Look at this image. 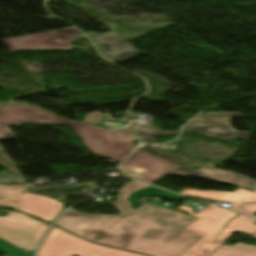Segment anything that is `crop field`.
<instances>
[{"label":"crop field","instance_id":"obj_1","mask_svg":"<svg viewBox=\"0 0 256 256\" xmlns=\"http://www.w3.org/2000/svg\"><path fill=\"white\" fill-rule=\"evenodd\" d=\"M147 186L135 181L119 190L113 205L120 216L82 214L71 209L56 224L95 242L152 256H181L202 238L184 230L196 218L144 204L132 210L129 195Z\"/></svg>","mask_w":256,"mask_h":256},{"label":"crop field","instance_id":"obj_13","mask_svg":"<svg viewBox=\"0 0 256 256\" xmlns=\"http://www.w3.org/2000/svg\"><path fill=\"white\" fill-rule=\"evenodd\" d=\"M97 187L94 182L83 183L77 186H68V187H60V186H46L44 188L35 187L33 184H25V188L23 192L27 193H35L41 194L48 197H54L56 199H63L67 195L73 194H85L86 189ZM27 188H33V191L28 190Z\"/></svg>","mask_w":256,"mask_h":256},{"label":"crop field","instance_id":"obj_23","mask_svg":"<svg viewBox=\"0 0 256 256\" xmlns=\"http://www.w3.org/2000/svg\"><path fill=\"white\" fill-rule=\"evenodd\" d=\"M255 239H256V233H254Z\"/></svg>","mask_w":256,"mask_h":256},{"label":"crop field","instance_id":"obj_18","mask_svg":"<svg viewBox=\"0 0 256 256\" xmlns=\"http://www.w3.org/2000/svg\"><path fill=\"white\" fill-rule=\"evenodd\" d=\"M170 134H175V132H165L157 128L141 125L140 129L136 133V136H139L138 138L141 139V138H146L151 136H166Z\"/></svg>","mask_w":256,"mask_h":256},{"label":"crop field","instance_id":"obj_4","mask_svg":"<svg viewBox=\"0 0 256 256\" xmlns=\"http://www.w3.org/2000/svg\"><path fill=\"white\" fill-rule=\"evenodd\" d=\"M144 256L96 245L54 226L39 248L38 256Z\"/></svg>","mask_w":256,"mask_h":256},{"label":"crop field","instance_id":"obj_5","mask_svg":"<svg viewBox=\"0 0 256 256\" xmlns=\"http://www.w3.org/2000/svg\"><path fill=\"white\" fill-rule=\"evenodd\" d=\"M6 212L10 213L0 217V237L34 252L38 241L50 224L35 220L22 213Z\"/></svg>","mask_w":256,"mask_h":256},{"label":"crop field","instance_id":"obj_8","mask_svg":"<svg viewBox=\"0 0 256 256\" xmlns=\"http://www.w3.org/2000/svg\"><path fill=\"white\" fill-rule=\"evenodd\" d=\"M216 116L241 117V114L233 112H225L219 114L208 113L191 122L184 129L218 137L221 139L236 138L245 140L249 137V132H238L231 128L230 123L223 125L221 123L212 121V119Z\"/></svg>","mask_w":256,"mask_h":256},{"label":"crop field","instance_id":"obj_6","mask_svg":"<svg viewBox=\"0 0 256 256\" xmlns=\"http://www.w3.org/2000/svg\"><path fill=\"white\" fill-rule=\"evenodd\" d=\"M176 164L157 155L137 150L125 163L122 172H145L138 180L151 185L168 175Z\"/></svg>","mask_w":256,"mask_h":256},{"label":"crop field","instance_id":"obj_15","mask_svg":"<svg viewBox=\"0 0 256 256\" xmlns=\"http://www.w3.org/2000/svg\"><path fill=\"white\" fill-rule=\"evenodd\" d=\"M210 256H256V246L236 244L232 247L222 245Z\"/></svg>","mask_w":256,"mask_h":256},{"label":"crop field","instance_id":"obj_10","mask_svg":"<svg viewBox=\"0 0 256 256\" xmlns=\"http://www.w3.org/2000/svg\"><path fill=\"white\" fill-rule=\"evenodd\" d=\"M172 174L202 177L218 182H223L239 187H247L251 189H254V187L256 186V182L249 180L247 177L213 167H201L198 171H196L189 168H185L183 166H179Z\"/></svg>","mask_w":256,"mask_h":256},{"label":"crop field","instance_id":"obj_12","mask_svg":"<svg viewBox=\"0 0 256 256\" xmlns=\"http://www.w3.org/2000/svg\"><path fill=\"white\" fill-rule=\"evenodd\" d=\"M92 37L104 50L105 55L113 59H121L139 52L133 46L110 33L106 35L87 34Z\"/></svg>","mask_w":256,"mask_h":256},{"label":"crop field","instance_id":"obj_22","mask_svg":"<svg viewBox=\"0 0 256 256\" xmlns=\"http://www.w3.org/2000/svg\"><path fill=\"white\" fill-rule=\"evenodd\" d=\"M143 173H133V174H127L129 176L135 177V178H139Z\"/></svg>","mask_w":256,"mask_h":256},{"label":"crop field","instance_id":"obj_21","mask_svg":"<svg viewBox=\"0 0 256 256\" xmlns=\"http://www.w3.org/2000/svg\"><path fill=\"white\" fill-rule=\"evenodd\" d=\"M231 118L232 117H216V118H214V120L225 124V123H229Z\"/></svg>","mask_w":256,"mask_h":256},{"label":"crop field","instance_id":"obj_9","mask_svg":"<svg viewBox=\"0 0 256 256\" xmlns=\"http://www.w3.org/2000/svg\"><path fill=\"white\" fill-rule=\"evenodd\" d=\"M65 206L52 198L23 193L19 211L52 223Z\"/></svg>","mask_w":256,"mask_h":256},{"label":"crop field","instance_id":"obj_25","mask_svg":"<svg viewBox=\"0 0 256 256\" xmlns=\"http://www.w3.org/2000/svg\"><path fill=\"white\" fill-rule=\"evenodd\" d=\"M256 222V221H255Z\"/></svg>","mask_w":256,"mask_h":256},{"label":"crop field","instance_id":"obj_7","mask_svg":"<svg viewBox=\"0 0 256 256\" xmlns=\"http://www.w3.org/2000/svg\"><path fill=\"white\" fill-rule=\"evenodd\" d=\"M82 35L75 28H70L3 42L12 52L21 49H72L71 40Z\"/></svg>","mask_w":256,"mask_h":256},{"label":"crop field","instance_id":"obj_24","mask_svg":"<svg viewBox=\"0 0 256 256\" xmlns=\"http://www.w3.org/2000/svg\"><path fill=\"white\" fill-rule=\"evenodd\" d=\"M245 205H246V204H245ZM244 207H245V206H244ZM244 207H243V208H244ZM243 208H242V209H243ZM242 209H241V210H242ZM240 212H241V211H240Z\"/></svg>","mask_w":256,"mask_h":256},{"label":"crop field","instance_id":"obj_20","mask_svg":"<svg viewBox=\"0 0 256 256\" xmlns=\"http://www.w3.org/2000/svg\"><path fill=\"white\" fill-rule=\"evenodd\" d=\"M255 211H256V203L255 204H247L246 207L243 209L242 213L253 217V214Z\"/></svg>","mask_w":256,"mask_h":256},{"label":"crop field","instance_id":"obj_11","mask_svg":"<svg viewBox=\"0 0 256 256\" xmlns=\"http://www.w3.org/2000/svg\"><path fill=\"white\" fill-rule=\"evenodd\" d=\"M181 194L225 201L233 205L230 210L239 212L245 202H256V190L254 192L238 188L235 192L221 191H197L190 188L180 191Z\"/></svg>","mask_w":256,"mask_h":256},{"label":"crop field","instance_id":"obj_19","mask_svg":"<svg viewBox=\"0 0 256 256\" xmlns=\"http://www.w3.org/2000/svg\"><path fill=\"white\" fill-rule=\"evenodd\" d=\"M105 114L101 112H96L93 114H89L86 116L83 122L86 123H94V124H100L101 120L103 119Z\"/></svg>","mask_w":256,"mask_h":256},{"label":"crop field","instance_id":"obj_16","mask_svg":"<svg viewBox=\"0 0 256 256\" xmlns=\"http://www.w3.org/2000/svg\"><path fill=\"white\" fill-rule=\"evenodd\" d=\"M151 195L170 198V199H175V200H178V199L182 198V196H179V195H176V194H173V193H170V192H167V191L149 186V187H147L143 190H140L138 192H135V193L131 194L128 200L131 202L133 209H137L142 204L141 202L136 201L137 198L139 196L147 198Z\"/></svg>","mask_w":256,"mask_h":256},{"label":"crop field","instance_id":"obj_3","mask_svg":"<svg viewBox=\"0 0 256 256\" xmlns=\"http://www.w3.org/2000/svg\"><path fill=\"white\" fill-rule=\"evenodd\" d=\"M179 208L188 211L192 216L199 218L186 230L204 236L183 256H208L234 232L253 233L256 231V225L252 224L255 219L239 215L236 219L231 220L218 235L216 239L223 241L219 242L213 239L222 230L225 223L234 217L236 213L215 206L201 210L197 214H193V208L185 206H179Z\"/></svg>","mask_w":256,"mask_h":256},{"label":"crop field","instance_id":"obj_14","mask_svg":"<svg viewBox=\"0 0 256 256\" xmlns=\"http://www.w3.org/2000/svg\"><path fill=\"white\" fill-rule=\"evenodd\" d=\"M23 185L3 186L0 185V205L19 209Z\"/></svg>","mask_w":256,"mask_h":256},{"label":"crop field","instance_id":"obj_2","mask_svg":"<svg viewBox=\"0 0 256 256\" xmlns=\"http://www.w3.org/2000/svg\"><path fill=\"white\" fill-rule=\"evenodd\" d=\"M0 139L13 140L8 126H20L21 122L49 125H70L92 153L121 160L135 142L132 132L138 122H131L126 129L106 130L96 126L64 121L38 108L17 103L0 105Z\"/></svg>","mask_w":256,"mask_h":256},{"label":"crop field","instance_id":"obj_17","mask_svg":"<svg viewBox=\"0 0 256 256\" xmlns=\"http://www.w3.org/2000/svg\"><path fill=\"white\" fill-rule=\"evenodd\" d=\"M0 251L5 253V256H33V252L15 246L0 238Z\"/></svg>","mask_w":256,"mask_h":256}]
</instances>
